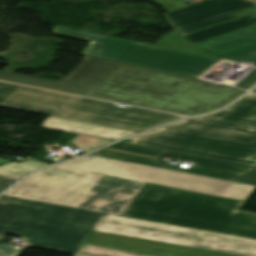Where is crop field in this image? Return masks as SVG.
Segmentation results:
<instances>
[{"label":"crop field","instance_id":"obj_29","mask_svg":"<svg viewBox=\"0 0 256 256\" xmlns=\"http://www.w3.org/2000/svg\"><path fill=\"white\" fill-rule=\"evenodd\" d=\"M256 1V0H255Z\"/></svg>","mask_w":256,"mask_h":256},{"label":"crop field","instance_id":"obj_12","mask_svg":"<svg viewBox=\"0 0 256 256\" xmlns=\"http://www.w3.org/2000/svg\"><path fill=\"white\" fill-rule=\"evenodd\" d=\"M44 127L118 140L136 132L49 116Z\"/></svg>","mask_w":256,"mask_h":256},{"label":"crop field","instance_id":"obj_5","mask_svg":"<svg viewBox=\"0 0 256 256\" xmlns=\"http://www.w3.org/2000/svg\"><path fill=\"white\" fill-rule=\"evenodd\" d=\"M0 82V106L141 132L184 118L158 111Z\"/></svg>","mask_w":256,"mask_h":256},{"label":"crop field","instance_id":"obj_21","mask_svg":"<svg viewBox=\"0 0 256 256\" xmlns=\"http://www.w3.org/2000/svg\"><path fill=\"white\" fill-rule=\"evenodd\" d=\"M236 182L250 184L256 186V170L242 176Z\"/></svg>","mask_w":256,"mask_h":256},{"label":"crop field","instance_id":"obj_8","mask_svg":"<svg viewBox=\"0 0 256 256\" xmlns=\"http://www.w3.org/2000/svg\"><path fill=\"white\" fill-rule=\"evenodd\" d=\"M53 33L90 41L83 55L167 71L199 78L222 60L185 52L131 43L107 36L90 34L62 27Z\"/></svg>","mask_w":256,"mask_h":256},{"label":"crop field","instance_id":"obj_18","mask_svg":"<svg viewBox=\"0 0 256 256\" xmlns=\"http://www.w3.org/2000/svg\"><path fill=\"white\" fill-rule=\"evenodd\" d=\"M110 142H112V141L97 139V138H92V137H87V136H81V137L71 141V144H73L76 147L80 148L81 150L87 152L89 150H92L94 148H97L99 146L105 145Z\"/></svg>","mask_w":256,"mask_h":256},{"label":"crop field","instance_id":"obj_14","mask_svg":"<svg viewBox=\"0 0 256 256\" xmlns=\"http://www.w3.org/2000/svg\"><path fill=\"white\" fill-rule=\"evenodd\" d=\"M256 23V19L252 18L251 16L247 15L245 17L235 19L226 23H222L210 28H206L194 33H190L187 35H184L186 38H188L193 43L199 42L202 40L210 39L252 24Z\"/></svg>","mask_w":256,"mask_h":256},{"label":"crop field","instance_id":"obj_1","mask_svg":"<svg viewBox=\"0 0 256 256\" xmlns=\"http://www.w3.org/2000/svg\"><path fill=\"white\" fill-rule=\"evenodd\" d=\"M0 80L187 116L221 108L245 90L85 56L60 82L0 70Z\"/></svg>","mask_w":256,"mask_h":256},{"label":"crop field","instance_id":"obj_22","mask_svg":"<svg viewBox=\"0 0 256 256\" xmlns=\"http://www.w3.org/2000/svg\"><path fill=\"white\" fill-rule=\"evenodd\" d=\"M0 253L3 256H19L21 253L15 249L6 246H0Z\"/></svg>","mask_w":256,"mask_h":256},{"label":"crop field","instance_id":"obj_19","mask_svg":"<svg viewBox=\"0 0 256 256\" xmlns=\"http://www.w3.org/2000/svg\"><path fill=\"white\" fill-rule=\"evenodd\" d=\"M151 1L167 11L188 6L187 4L179 0H151Z\"/></svg>","mask_w":256,"mask_h":256},{"label":"crop field","instance_id":"obj_25","mask_svg":"<svg viewBox=\"0 0 256 256\" xmlns=\"http://www.w3.org/2000/svg\"><path fill=\"white\" fill-rule=\"evenodd\" d=\"M255 11H256V7H251V8H248V9H245V10L233 13V14L241 17V16L247 15V14L255 12Z\"/></svg>","mask_w":256,"mask_h":256},{"label":"crop field","instance_id":"obj_2","mask_svg":"<svg viewBox=\"0 0 256 256\" xmlns=\"http://www.w3.org/2000/svg\"><path fill=\"white\" fill-rule=\"evenodd\" d=\"M74 256H256V240L104 214Z\"/></svg>","mask_w":256,"mask_h":256},{"label":"crop field","instance_id":"obj_15","mask_svg":"<svg viewBox=\"0 0 256 256\" xmlns=\"http://www.w3.org/2000/svg\"><path fill=\"white\" fill-rule=\"evenodd\" d=\"M222 233L256 239V213L239 210Z\"/></svg>","mask_w":256,"mask_h":256},{"label":"crop field","instance_id":"obj_27","mask_svg":"<svg viewBox=\"0 0 256 256\" xmlns=\"http://www.w3.org/2000/svg\"><path fill=\"white\" fill-rule=\"evenodd\" d=\"M28 159H30V158H28ZM32 160V159H31ZM36 161H38V160H36Z\"/></svg>","mask_w":256,"mask_h":256},{"label":"crop field","instance_id":"obj_7","mask_svg":"<svg viewBox=\"0 0 256 256\" xmlns=\"http://www.w3.org/2000/svg\"><path fill=\"white\" fill-rule=\"evenodd\" d=\"M243 203L147 184L121 216L221 233Z\"/></svg>","mask_w":256,"mask_h":256},{"label":"crop field","instance_id":"obj_28","mask_svg":"<svg viewBox=\"0 0 256 256\" xmlns=\"http://www.w3.org/2000/svg\"><path fill=\"white\" fill-rule=\"evenodd\" d=\"M0 256H2V255L0 254Z\"/></svg>","mask_w":256,"mask_h":256},{"label":"crop field","instance_id":"obj_26","mask_svg":"<svg viewBox=\"0 0 256 256\" xmlns=\"http://www.w3.org/2000/svg\"><path fill=\"white\" fill-rule=\"evenodd\" d=\"M247 61H251V62H253L254 64H253V66H255L256 67V58H253V59H249V60H247ZM243 62V61H242Z\"/></svg>","mask_w":256,"mask_h":256},{"label":"crop field","instance_id":"obj_17","mask_svg":"<svg viewBox=\"0 0 256 256\" xmlns=\"http://www.w3.org/2000/svg\"><path fill=\"white\" fill-rule=\"evenodd\" d=\"M43 166H47V165L37 163V162L28 161V162H24L22 164H19L17 166H14L12 168L2 171V172H0V175L12 178L14 180H18L25 174H27L35 169H38L40 167H43Z\"/></svg>","mask_w":256,"mask_h":256},{"label":"crop field","instance_id":"obj_16","mask_svg":"<svg viewBox=\"0 0 256 256\" xmlns=\"http://www.w3.org/2000/svg\"><path fill=\"white\" fill-rule=\"evenodd\" d=\"M255 32H256V24L246 27V28H243V29H240V30H237V31H234V32H231V33H228V34H225V35H222V36H219V37H216V38H213V39H210V40H207V41L195 43V44L197 46H199L200 48L204 49V48L211 47V46H214V45L226 42V41H230V40H233V39H236V38L248 35V34H252Z\"/></svg>","mask_w":256,"mask_h":256},{"label":"crop field","instance_id":"obj_6","mask_svg":"<svg viewBox=\"0 0 256 256\" xmlns=\"http://www.w3.org/2000/svg\"><path fill=\"white\" fill-rule=\"evenodd\" d=\"M102 215L3 195L0 238L8 232L35 247L75 254Z\"/></svg>","mask_w":256,"mask_h":256},{"label":"crop field","instance_id":"obj_24","mask_svg":"<svg viewBox=\"0 0 256 256\" xmlns=\"http://www.w3.org/2000/svg\"><path fill=\"white\" fill-rule=\"evenodd\" d=\"M21 162H22V161L17 160V161H15V162H13V163H10V162H8V161H6V160L0 159V171H1V170H4V169H6V168H9V167H11V166H13V165H16V164H18V163H21Z\"/></svg>","mask_w":256,"mask_h":256},{"label":"crop field","instance_id":"obj_10","mask_svg":"<svg viewBox=\"0 0 256 256\" xmlns=\"http://www.w3.org/2000/svg\"><path fill=\"white\" fill-rule=\"evenodd\" d=\"M256 5L248 0H208L165 13L176 29L154 45L216 58L182 35L238 18L231 13ZM218 59V58H216Z\"/></svg>","mask_w":256,"mask_h":256},{"label":"crop field","instance_id":"obj_9","mask_svg":"<svg viewBox=\"0 0 256 256\" xmlns=\"http://www.w3.org/2000/svg\"><path fill=\"white\" fill-rule=\"evenodd\" d=\"M60 166L244 201L254 186L87 155Z\"/></svg>","mask_w":256,"mask_h":256},{"label":"crop field","instance_id":"obj_13","mask_svg":"<svg viewBox=\"0 0 256 256\" xmlns=\"http://www.w3.org/2000/svg\"><path fill=\"white\" fill-rule=\"evenodd\" d=\"M204 50L220 59L230 61L256 56V33Z\"/></svg>","mask_w":256,"mask_h":256},{"label":"crop field","instance_id":"obj_23","mask_svg":"<svg viewBox=\"0 0 256 256\" xmlns=\"http://www.w3.org/2000/svg\"><path fill=\"white\" fill-rule=\"evenodd\" d=\"M13 181H10L6 178L0 177V193L5 190L6 188H8L10 185H12Z\"/></svg>","mask_w":256,"mask_h":256},{"label":"crop field","instance_id":"obj_20","mask_svg":"<svg viewBox=\"0 0 256 256\" xmlns=\"http://www.w3.org/2000/svg\"><path fill=\"white\" fill-rule=\"evenodd\" d=\"M256 83V69L249 73L241 82L236 86L248 89Z\"/></svg>","mask_w":256,"mask_h":256},{"label":"crop field","instance_id":"obj_4","mask_svg":"<svg viewBox=\"0 0 256 256\" xmlns=\"http://www.w3.org/2000/svg\"><path fill=\"white\" fill-rule=\"evenodd\" d=\"M146 184L52 166L32 174L6 195L121 215Z\"/></svg>","mask_w":256,"mask_h":256},{"label":"crop field","instance_id":"obj_3","mask_svg":"<svg viewBox=\"0 0 256 256\" xmlns=\"http://www.w3.org/2000/svg\"><path fill=\"white\" fill-rule=\"evenodd\" d=\"M133 144L256 167V88L214 115L131 138Z\"/></svg>","mask_w":256,"mask_h":256},{"label":"crop field","instance_id":"obj_11","mask_svg":"<svg viewBox=\"0 0 256 256\" xmlns=\"http://www.w3.org/2000/svg\"><path fill=\"white\" fill-rule=\"evenodd\" d=\"M106 148L116 149L120 151L140 154V155L153 156L157 158H159L162 155H167V156H172L176 159L194 162V165L189 168L178 167V166H173L165 163L156 162L157 160L155 159L125 154V153L116 152V151L103 150V149L91 155L110 158V159H116L121 161H127L132 163H138V164H143L148 166H154L159 168H165L170 170H176V171H181L186 173H192L197 175H203L208 177H214V178L230 180V181H233L237 179L239 176H241L242 174L255 169V167L217 161V160H212V159H207L202 157H196V156H191V155H186L181 153H175V152H170L165 150L144 147V146L127 144L122 142H118Z\"/></svg>","mask_w":256,"mask_h":256}]
</instances>
